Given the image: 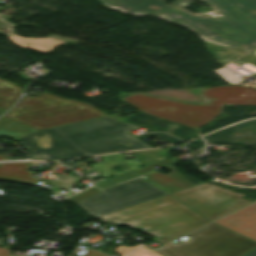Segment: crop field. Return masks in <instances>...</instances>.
<instances>
[{
    "label": "crop field",
    "instance_id": "1",
    "mask_svg": "<svg viewBox=\"0 0 256 256\" xmlns=\"http://www.w3.org/2000/svg\"><path fill=\"white\" fill-rule=\"evenodd\" d=\"M103 6L132 16H154L183 25L203 41L230 49L251 52L256 49V0H201L212 8L194 14L184 7L193 0H98Z\"/></svg>",
    "mask_w": 256,
    "mask_h": 256
},
{
    "label": "crop field",
    "instance_id": "2",
    "mask_svg": "<svg viewBox=\"0 0 256 256\" xmlns=\"http://www.w3.org/2000/svg\"><path fill=\"white\" fill-rule=\"evenodd\" d=\"M96 219L144 228L143 233L154 236V241L162 245L210 222L170 194Z\"/></svg>",
    "mask_w": 256,
    "mask_h": 256
},
{
    "label": "crop field",
    "instance_id": "3",
    "mask_svg": "<svg viewBox=\"0 0 256 256\" xmlns=\"http://www.w3.org/2000/svg\"><path fill=\"white\" fill-rule=\"evenodd\" d=\"M106 115L89 104L42 93L34 98L24 96L4 117L33 129L43 130Z\"/></svg>",
    "mask_w": 256,
    "mask_h": 256
},
{
    "label": "crop field",
    "instance_id": "4",
    "mask_svg": "<svg viewBox=\"0 0 256 256\" xmlns=\"http://www.w3.org/2000/svg\"><path fill=\"white\" fill-rule=\"evenodd\" d=\"M138 128L106 116L86 122L56 127L65 138L86 156L122 150L151 148L148 144L127 135Z\"/></svg>",
    "mask_w": 256,
    "mask_h": 256
},
{
    "label": "crop field",
    "instance_id": "5",
    "mask_svg": "<svg viewBox=\"0 0 256 256\" xmlns=\"http://www.w3.org/2000/svg\"><path fill=\"white\" fill-rule=\"evenodd\" d=\"M178 245L167 244L158 249L165 256H242L256 243L213 223L190 234Z\"/></svg>",
    "mask_w": 256,
    "mask_h": 256
},
{
    "label": "crop field",
    "instance_id": "6",
    "mask_svg": "<svg viewBox=\"0 0 256 256\" xmlns=\"http://www.w3.org/2000/svg\"><path fill=\"white\" fill-rule=\"evenodd\" d=\"M168 194L138 178L106 190L76 204L96 218Z\"/></svg>",
    "mask_w": 256,
    "mask_h": 256
},
{
    "label": "crop field",
    "instance_id": "7",
    "mask_svg": "<svg viewBox=\"0 0 256 256\" xmlns=\"http://www.w3.org/2000/svg\"><path fill=\"white\" fill-rule=\"evenodd\" d=\"M138 110L149 115L163 118L199 129L220 114L221 106H194L158 100L145 95L133 94L124 99Z\"/></svg>",
    "mask_w": 256,
    "mask_h": 256
},
{
    "label": "crop field",
    "instance_id": "8",
    "mask_svg": "<svg viewBox=\"0 0 256 256\" xmlns=\"http://www.w3.org/2000/svg\"><path fill=\"white\" fill-rule=\"evenodd\" d=\"M171 194L211 221L250 203L243 194L208 183Z\"/></svg>",
    "mask_w": 256,
    "mask_h": 256
},
{
    "label": "crop field",
    "instance_id": "9",
    "mask_svg": "<svg viewBox=\"0 0 256 256\" xmlns=\"http://www.w3.org/2000/svg\"><path fill=\"white\" fill-rule=\"evenodd\" d=\"M32 153V160H63L85 156L54 128L16 140Z\"/></svg>",
    "mask_w": 256,
    "mask_h": 256
},
{
    "label": "crop field",
    "instance_id": "10",
    "mask_svg": "<svg viewBox=\"0 0 256 256\" xmlns=\"http://www.w3.org/2000/svg\"><path fill=\"white\" fill-rule=\"evenodd\" d=\"M155 166H161L164 169L169 170L171 173L167 175L158 173L153 168ZM142 174H146L145 175L146 178L143 180L155 185L156 187L168 193L194 186L191 182H189L188 180H186L185 178H183L181 175L177 173V171L175 170L173 164L170 162L169 159L140 167L134 171H131L125 174H121L112 178L105 179L95 185L99 188H104L116 183H120L126 180L136 178Z\"/></svg>",
    "mask_w": 256,
    "mask_h": 256
},
{
    "label": "crop field",
    "instance_id": "11",
    "mask_svg": "<svg viewBox=\"0 0 256 256\" xmlns=\"http://www.w3.org/2000/svg\"><path fill=\"white\" fill-rule=\"evenodd\" d=\"M203 95L215 98L211 104L256 106V89L241 86L209 87Z\"/></svg>",
    "mask_w": 256,
    "mask_h": 256
},
{
    "label": "crop field",
    "instance_id": "12",
    "mask_svg": "<svg viewBox=\"0 0 256 256\" xmlns=\"http://www.w3.org/2000/svg\"><path fill=\"white\" fill-rule=\"evenodd\" d=\"M214 223L256 241V202Z\"/></svg>",
    "mask_w": 256,
    "mask_h": 256
},
{
    "label": "crop field",
    "instance_id": "13",
    "mask_svg": "<svg viewBox=\"0 0 256 256\" xmlns=\"http://www.w3.org/2000/svg\"><path fill=\"white\" fill-rule=\"evenodd\" d=\"M28 163H7L0 164V179L22 183H35L36 179L30 175L33 172L26 171Z\"/></svg>",
    "mask_w": 256,
    "mask_h": 256
},
{
    "label": "crop field",
    "instance_id": "14",
    "mask_svg": "<svg viewBox=\"0 0 256 256\" xmlns=\"http://www.w3.org/2000/svg\"><path fill=\"white\" fill-rule=\"evenodd\" d=\"M9 39H11L14 42V44H16L20 47H24V48L38 51V52L45 53V54L50 52L55 47L66 43V42L56 40L53 38L30 39V38H24L21 36H17V35L10 36Z\"/></svg>",
    "mask_w": 256,
    "mask_h": 256
},
{
    "label": "crop field",
    "instance_id": "15",
    "mask_svg": "<svg viewBox=\"0 0 256 256\" xmlns=\"http://www.w3.org/2000/svg\"><path fill=\"white\" fill-rule=\"evenodd\" d=\"M102 158L104 159L105 162L90 164V166L106 178L112 177V174L109 172V170L106 167L109 165L127 162L129 166L132 168V170L140 167V164L138 163L137 159L124 160L121 153L104 155L102 156Z\"/></svg>",
    "mask_w": 256,
    "mask_h": 256
},
{
    "label": "crop field",
    "instance_id": "16",
    "mask_svg": "<svg viewBox=\"0 0 256 256\" xmlns=\"http://www.w3.org/2000/svg\"><path fill=\"white\" fill-rule=\"evenodd\" d=\"M22 89L0 79V107L8 110L17 100Z\"/></svg>",
    "mask_w": 256,
    "mask_h": 256
},
{
    "label": "crop field",
    "instance_id": "17",
    "mask_svg": "<svg viewBox=\"0 0 256 256\" xmlns=\"http://www.w3.org/2000/svg\"><path fill=\"white\" fill-rule=\"evenodd\" d=\"M168 150L165 149H154V150H145V151H136L133 154L136 156L141 166L150 164L159 160L168 158Z\"/></svg>",
    "mask_w": 256,
    "mask_h": 256
},
{
    "label": "crop field",
    "instance_id": "18",
    "mask_svg": "<svg viewBox=\"0 0 256 256\" xmlns=\"http://www.w3.org/2000/svg\"><path fill=\"white\" fill-rule=\"evenodd\" d=\"M34 131H36V130H33V129L23 126L21 124L14 123L8 127L1 129L0 136H7L10 138L16 139V138L27 135Z\"/></svg>",
    "mask_w": 256,
    "mask_h": 256
},
{
    "label": "crop field",
    "instance_id": "19",
    "mask_svg": "<svg viewBox=\"0 0 256 256\" xmlns=\"http://www.w3.org/2000/svg\"><path fill=\"white\" fill-rule=\"evenodd\" d=\"M99 191H100L99 189H97L95 187H91V188H89V189H87V190H85V191H83V192H81V193H79V194L69 198V200H71L73 203L76 204V203H78V202H80V201L90 197L91 195H93V194H95V193H97Z\"/></svg>",
    "mask_w": 256,
    "mask_h": 256
},
{
    "label": "crop field",
    "instance_id": "20",
    "mask_svg": "<svg viewBox=\"0 0 256 256\" xmlns=\"http://www.w3.org/2000/svg\"><path fill=\"white\" fill-rule=\"evenodd\" d=\"M16 24L10 23L8 22L6 19H4L1 15H0V33L9 35L14 33V28L16 27Z\"/></svg>",
    "mask_w": 256,
    "mask_h": 256
},
{
    "label": "crop field",
    "instance_id": "21",
    "mask_svg": "<svg viewBox=\"0 0 256 256\" xmlns=\"http://www.w3.org/2000/svg\"><path fill=\"white\" fill-rule=\"evenodd\" d=\"M129 256H160L159 254L146 249L144 247H140L139 249H137L135 252H133L131 255Z\"/></svg>",
    "mask_w": 256,
    "mask_h": 256
},
{
    "label": "crop field",
    "instance_id": "22",
    "mask_svg": "<svg viewBox=\"0 0 256 256\" xmlns=\"http://www.w3.org/2000/svg\"><path fill=\"white\" fill-rule=\"evenodd\" d=\"M12 123H14V122L9 121V120H7V119L1 117V118H0V129L3 128V127H5V126H8V125H10V124H12Z\"/></svg>",
    "mask_w": 256,
    "mask_h": 256
},
{
    "label": "crop field",
    "instance_id": "23",
    "mask_svg": "<svg viewBox=\"0 0 256 256\" xmlns=\"http://www.w3.org/2000/svg\"><path fill=\"white\" fill-rule=\"evenodd\" d=\"M85 253V252H84ZM81 256V255H80ZM82 256H105V255H102V254H99V253H96V252H93V251H90L88 250L85 254H83Z\"/></svg>",
    "mask_w": 256,
    "mask_h": 256
},
{
    "label": "crop field",
    "instance_id": "24",
    "mask_svg": "<svg viewBox=\"0 0 256 256\" xmlns=\"http://www.w3.org/2000/svg\"><path fill=\"white\" fill-rule=\"evenodd\" d=\"M11 254L8 252V249L0 248V256H10Z\"/></svg>",
    "mask_w": 256,
    "mask_h": 256
},
{
    "label": "crop field",
    "instance_id": "25",
    "mask_svg": "<svg viewBox=\"0 0 256 256\" xmlns=\"http://www.w3.org/2000/svg\"><path fill=\"white\" fill-rule=\"evenodd\" d=\"M245 256H256V249L251 251L250 253H248L247 255Z\"/></svg>",
    "mask_w": 256,
    "mask_h": 256
},
{
    "label": "crop field",
    "instance_id": "26",
    "mask_svg": "<svg viewBox=\"0 0 256 256\" xmlns=\"http://www.w3.org/2000/svg\"><path fill=\"white\" fill-rule=\"evenodd\" d=\"M6 110L0 109V115L4 114Z\"/></svg>",
    "mask_w": 256,
    "mask_h": 256
},
{
    "label": "crop field",
    "instance_id": "27",
    "mask_svg": "<svg viewBox=\"0 0 256 256\" xmlns=\"http://www.w3.org/2000/svg\"><path fill=\"white\" fill-rule=\"evenodd\" d=\"M5 159H9V158H6V157H3V156H0V160H5Z\"/></svg>",
    "mask_w": 256,
    "mask_h": 256
}]
</instances>
